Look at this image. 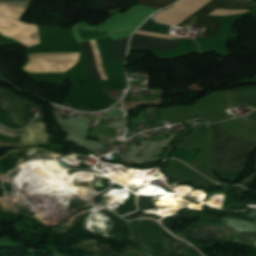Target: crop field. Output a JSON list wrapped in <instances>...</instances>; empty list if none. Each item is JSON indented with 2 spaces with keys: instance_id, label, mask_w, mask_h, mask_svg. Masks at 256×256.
Returning a JSON list of instances; mask_svg holds the SVG:
<instances>
[{
  "instance_id": "8a807250",
  "label": "crop field",
  "mask_w": 256,
  "mask_h": 256,
  "mask_svg": "<svg viewBox=\"0 0 256 256\" xmlns=\"http://www.w3.org/2000/svg\"><path fill=\"white\" fill-rule=\"evenodd\" d=\"M256 143L236 139L218 125L213 134V163L215 169L243 172L248 153Z\"/></svg>"
},
{
  "instance_id": "ac0d7876",
  "label": "crop field",
  "mask_w": 256,
  "mask_h": 256,
  "mask_svg": "<svg viewBox=\"0 0 256 256\" xmlns=\"http://www.w3.org/2000/svg\"><path fill=\"white\" fill-rule=\"evenodd\" d=\"M128 38L129 37L113 41L116 63L124 60ZM80 44L86 55L87 69L93 81L102 80L96 69L94 54L90 42L87 41Z\"/></svg>"
},
{
  "instance_id": "34b2d1b8",
  "label": "crop field",
  "mask_w": 256,
  "mask_h": 256,
  "mask_svg": "<svg viewBox=\"0 0 256 256\" xmlns=\"http://www.w3.org/2000/svg\"><path fill=\"white\" fill-rule=\"evenodd\" d=\"M129 47L170 51L177 47V41L133 34Z\"/></svg>"
},
{
  "instance_id": "412701ff",
  "label": "crop field",
  "mask_w": 256,
  "mask_h": 256,
  "mask_svg": "<svg viewBox=\"0 0 256 256\" xmlns=\"http://www.w3.org/2000/svg\"><path fill=\"white\" fill-rule=\"evenodd\" d=\"M0 106L10 119L25 127L29 122L21 115L26 112L25 106L18 99L4 92H0Z\"/></svg>"
},
{
  "instance_id": "f4fd0767",
  "label": "crop field",
  "mask_w": 256,
  "mask_h": 256,
  "mask_svg": "<svg viewBox=\"0 0 256 256\" xmlns=\"http://www.w3.org/2000/svg\"><path fill=\"white\" fill-rule=\"evenodd\" d=\"M47 139L48 135L45 132L43 119L36 118L27 128L24 129L18 146L43 143L47 142Z\"/></svg>"
},
{
  "instance_id": "dd49c442",
  "label": "crop field",
  "mask_w": 256,
  "mask_h": 256,
  "mask_svg": "<svg viewBox=\"0 0 256 256\" xmlns=\"http://www.w3.org/2000/svg\"><path fill=\"white\" fill-rule=\"evenodd\" d=\"M249 7L250 6H240V5H236V4H232V3L212 0L208 4H206L204 7L199 9L197 12H195L193 15H206L215 8H219V9H249ZM193 15H191V16H193ZM189 18L184 20L178 26L182 27L185 24L188 25Z\"/></svg>"
},
{
  "instance_id": "e52e79f7",
  "label": "crop field",
  "mask_w": 256,
  "mask_h": 256,
  "mask_svg": "<svg viewBox=\"0 0 256 256\" xmlns=\"http://www.w3.org/2000/svg\"><path fill=\"white\" fill-rule=\"evenodd\" d=\"M221 21L210 17H198L199 25H206L204 37L216 38L217 30Z\"/></svg>"
},
{
  "instance_id": "d8731c3e",
  "label": "crop field",
  "mask_w": 256,
  "mask_h": 256,
  "mask_svg": "<svg viewBox=\"0 0 256 256\" xmlns=\"http://www.w3.org/2000/svg\"><path fill=\"white\" fill-rule=\"evenodd\" d=\"M231 93L241 102L251 100L256 104V86H248L231 91Z\"/></svg>"
},
{
  "instance_id": "5a996713",
  "label": "crop field",
  "mask_w": 256,
  "mask_h": 256,
  "mask_svg": "<svg viewBox=\"0 0 256 256\" xmlns=\"http://www.w3.org/2000/svg\"><path fill=\"white\" fill-rule=\"evenodd\" d=\"M98 243L96 242L95 239H91V240H87L83 243H80L74 247H77L79 249H82L84 251H101V252H109L110 246L108 245H103L101 247H99L96 250L90 249L91 247L97 245Z\"/></svg>"
},
{
  "instance_id": "3316defc",
  "label": "crop field",
  "mask_w": 256,
  "mask_h": 256,
  "mask_svg": "<svg viewBox=\"0 0 256 256\" xmlns=\"http://www.w3.org/2000/svg\"><path fill=\"white\" fill-rule=\"evenodd\" d=\"M176 0H139L140 5L161 9Z\"/></svg>"
},
{
  "instance_id": "28ad6ade",
  "label": "crop field",
  "mask_w": 256,
  "mask_h": 256,
  "mask_svg": "<svg viewBox=\"0 0 256 256\" xmlns=\"http://www.w3.org/2000/svg\"><path fill=\"white\" fill-rule=\"evenodd\" d=\"M20 132L21 131H10V130H7V129H4V128L0 127V133L4 134V135H8V136L18 138L19 135H20Z\"/></svg>"
},
{
  "instance_id": "d1516ede",
  "label": "crop field",
  "mask_w": 256,
  "mask_h": 256,
  "mask_svg": "<svg viewBox=\"0 0 256 256\" xmlns=\"http://www.w3.org/2000/svg\"><path fill=\"white\" fill-rule=\"evenodd\" d=\"M0 89L11 93V94L14 95L15 97H17L19 100H21V101H23V102H25V103H27V104L33 105V102H30V101H28V100H25V99L19 97L17 94L13 93L12 91H10V90H8V89L2 87V86H0Z\"/></svg>"
},
{
  "instance_id": "22f410ed",
  "label": "crop field",
  "mask_w": 256,
  "mask_h": 256,
  "mask_svg": "<svg viewBox=\"0 0 256 256\" xmlns=\"http://www.w3.org/2000/svg\"><path fill=\"white\" fill-rule=\"evenodd\" d=\"M222 1H228V2H232V3H238V4H244V5H255L256 3H252V2H243V1H236V0H222Z\"/></svg>"
},
{
  "instance_id": "cbeb9de0",
  "label": "crop field",
  "mask_w": 256,
  "mask_h": 256,
  "mask_svg": "<svg viewBox=\"0 0 256 256\" xmlns=\"http://www.w3.org/2000/svg\"><path fill=\"white\" fill-rule=\"evenodd\" d=\"M14 143H15V141L14 142H2V141H0V147L13 146Z\"/></svg>"
},
{
  "instance_id": "5142ce71",
  "label": "crop field",
  "mask_w": 256,
  "mask_h": 256,
  "mask_svg": "<svg viewBox=\"0 0 256 256\" xmlns=\"http://www.w3.org/2000/svg\"><path fill=\"white\" fill-rule=\"evenodd\" d=\"M107 254H95V255H90V256H106Z\"/></svg>"
}]
</instances>
